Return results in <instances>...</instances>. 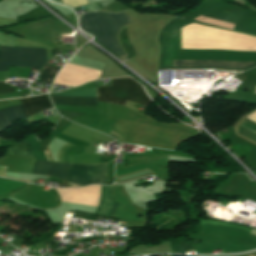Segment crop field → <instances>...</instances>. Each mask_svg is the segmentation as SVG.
Instances as JSON below:
<instances>
[{"mask_svg": "<svg viewBox=\"0 0 256 256\" xmlns=\"http://www.w3.org/2000/svg\"><path fill=\"white\" fill-rule=\"evenodd\" d=\"M62 2L72 7L88 3L87 0H62Z\"/></svg>", "mask_w": 256, "mask_h": 256, "instance_id": "crop-field-9", "label": "crop field"}, {"mask_svg": "<svg viewBox=\"0 0 256 256\" xmlns=\"http://www.w3.org/2000/svg\"><path fill=\"white\" fill-rule=\"evenodd\" d=\"M126 100L141 106L152 102L143 88L131 78L111 79V86L97 87V102L123 106Z\"/></svg>", "mask_w": 256, "mask_h": 256, "instance_id": "crop-field-2", "label": "crop field"}, {"mask_svg": "<svg viewBox=\"0 0 256 256\" xmlns=\"http://www.w3.org/2000/svg\"><path fill=\"white\" fill-rule=\"evenodd\" d=\"M26 117L51 109L46 95L20 100ZM22 106H15L0 110V132L10 127L12 121L26 118Z\"/></svg>", "mask_w": 256, "mask_h": 256, "instance_id": "crop-field-5", "label": "crop field"}, {"mask_svg": "<svg viewBox=\"0 0 256 256\" xmlns=\"http://www.w3.org/2000/svg\"><path fill=\"white\" fill-rule=\"evenodd\" d=\"M55 95H67V96L96 98V88L84 90V91L72 92V93L55 94ZM55 95H50L54 104L96 107V99L67 97V96H55Z\"/></svg>", "mask_w": 256, "mask_h": 256, "instance_id": "crop-field-7", "label": "crop field"}, {"mask_svg": "<svg viewBox=\"0 0 256 256\" xmlns=\"http://www.w3.org/2000/svg\"><path fill=\"white\" fill-rule=\"evenodd\" d=\"M80 28L95 35L97 41L115 52L118 56L124 54L116 42L117 30L131 23L126 12L120 14L91 12L83 14L79 19Z\"/></svg>", "mask_w": 256, "mask_h": 256, "instance_id": "crop-field-1", "label": "crop field"}, {"mask_svg": "<svg viewBox=\"0 0 256 256\" xmlns=\"http://www.w3.org/2000/svg\"><path fill=\"white\" fill-rule=\"evenodd\" d=\"M256 62L223 60V59H199V58H175L174 67H221V68H246Z\"/></svg>", "mask_w": 256, "mask_h": 256, "instance_id": "crop-field-6", "label": "crop field"}, {"mask_svg": "<svg viewBox=\"0 0 256 256\" xmlns=\"http://www.w3.org/2000/svg\"><path fill=\"white\" fill-rule=\"evenodd\" d=\"M0 93H13V88L8 87L4 82H0Z\"/></svg>", "mask_w": 256, "mask_h": 256, "instance_id": "crop-field-10", "label": "crop field"}, {"mask_svg": "<svg viewBox=\"0 0 256 256\" xmlns=\"http://www.w3.org/2000/svg\"><path fill=\"white\" fill-rule=\"evenodd\" d=\"M69 168L70 164L68 163L35 161L32 174H42L68 181ZM69 182L85 186L86 165L71 164Z\"/></svg>", "mask_w": 256, "mask_h": 256, "instance_id": "crop-field-4", "label": "crop field"}, {"mask_svg": "<svg viewBox=\"0 0 256 256\" xmlns=\"http://www.w3.org/2000/svg\"><path fill=\"white\" fill-rule=\"evenodd\" d=\"M59 68L46 64L40 73L39 81L51 83Z\"/></svg>", "mask_w": 256, "mask_h": 256, "instance_id": "crop-field-8", "label": "crop field"}, {"mask_svg": "<svg viewBox=\"0 0 256 256\" xmlns=\"http://www.w3.org/2000/svg\"><path fill=\"white\" fill-rule=\"evenodd\" d=\"M45 62V49L0 46V70H8V66L42 68Z\"/></svg>", "mask_w": 256, "mask_h": 256, "instance_id": "crop-field-3", "label": "crop field"}]
</instances>
